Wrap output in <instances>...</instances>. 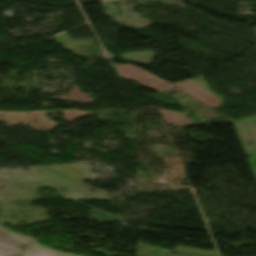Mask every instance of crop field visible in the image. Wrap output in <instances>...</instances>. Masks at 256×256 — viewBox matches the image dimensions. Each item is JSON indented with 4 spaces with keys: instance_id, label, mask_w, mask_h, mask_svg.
<instances>
[{
    "instance_id": "obj_1",
    "label": "crop field",
    "mask_w": 256,
    "mask_h": 256,
    "mask_svg": "<svg viewBox=\"0 0 256 256\" xmlns=\"http://www.w3.org/2000/svg\"><path fill=\"white\" fill-rule=\"evenodd\" d=\"M34 242L0 229V256H16Z\"/></svg>"
},
{
    "instance_id": "obj_3",
    "label": "crop field",
    "mask_w": 256,
    "mask_h": 256,
    "mask_svg": "<svg viewBox=\"0 0 256 256\" xmlns=\"http://www.w3.org/2000/svg\"><path fill=\"white\" fill-rule=\"evenodd\" d=\"M1 210V209H0Z\"/></svg>"
},
{
    "instance_id": "obj_2",
    "label": "crop field",
    "mask_w": 256,
    "mask_h": 256,
    "mask_svg": "<svg viewBox=\"0 0 256 256\" xmlns=\"http://www.w3.org/2000/svg\"><path fill=\"white\" fill-rule=\"evenodd\" d=\"M21 255L23 256H69L40 246H31Z\"/></svg>"
}]
</instances>
